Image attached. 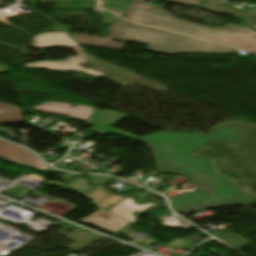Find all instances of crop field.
Here are the masks:
<instances>
[{
    "label": "crop field",
    "instance_id": "obj_9",
    "mask_svg": "<svg viewBox=\"0 0 256 256\" xmlns=\"http://www.w3.org/2000/svg\"><path fill=\"white\" fill-rule=\"evenodd\" d=\"M145 204H148V206L142 205H136L133 201L132 198L128 197L126 200L123 202L117 204L113 208H111L109 211L119 215L120 217L126 219L130 223L135 222V217L132 214V212H142L146 208H150L153 206H157L158 204L152 203V202H147Z\"/></svg>",
    "mask_w": 256,
    "mask_h": 256
},
{
    "label": "crop field",
    "instance_id": "obj_13",
    "mask_svg": "<svg viewBox=\"0 0 256 256\" xmlns=\"http://www.w3.org/2000/svg\"><path fill=\"white\" fill-rule=\"evenodd\" d=\"M68 188L75 190L79 193H82L90 188H92L91 186L87 185V181L86 179H82V178H75L73 179L67 186Z\"/></svg>",
    "mask_w": 256,
    "mask_h": 256
},
{
    "label": "crop field",
    "instance_id": "obj_5",
    "mask_svg": "<svg viewBox=\"0 0 256 256\" xmlns=\"http://www.w3.org/2000/svg\"><path fill=\"white\" fill-rule=\"evenodd\" d=\"M0 156L32 166L42 170L50 169L33 154L16 145L0 141Z\"/></svg>",
    "mask_w": 256,
    "mask_h": 256
},
{
    "label": "crop field",
    "instance_id": "obj_10",
    "mask_svg": "<svg viewBox=\"0 0 256 256\" xmlns=\"http://www.w3.org/2000/svg\"><path fill=\"white\" fill-rule=\"evenodd\" d=\"M81 45L96 46L101 48L119 49L124 44H118L113 42L111 38H100L82 34H72Z\"/></svg>",
    "mask_w": 256,
    "mask_h": 256
},
{
    "label": "crop field",
    "instance_id": "obj_15",
    "mask_svg": "<svg viewBox=\"0 0 256 256\" xmlns=\"http://www.w3.org/2000/svg\"><path fill=\"white\" fill-rule=\"evenodd\" d=\"M91 179L97 180V182L91 181V182H93V183H105V182H107V181L110 180V178H108V177H102V176H95V177H91V176H90V180H91Z\"/></svg>",
    "mask_w": 256,
    "mask_h": 256
},
{
    "label": "crop field",
    "instance_id": "obj_11",
    "mask_svg": "<svg viewBox=\"0 0 256 256\" xmlns=\"http://www.w3.org/2000/svg\"><path fill=\"white\" fill-rule=\"evenodd\" d=\"M21 121L22 117L19 108L0 102V123Z\"/></svg>",
    "mask_w": 256,
    "mask_h": 256
},
{
    "label": "crop field",
    "instance_id": "obj_19",
    "mask_svg": "<svg viewBox=\"0 0 256 256\" xmlns=\"http://www.w3.org/2000/svg\"><path fill=\"white\" fill-rule=\"evenodd\" d=\"M253 30H256V25H255V27H254V29Z\"/></svg>",
    "mask_w": 256,
    "mask_h": 256
},
{
    "label": "crop field",
    "instance_id": "obj_17",
    "mask_svg": "<svg viewBox=\"0 0 256 256\" xmlns=\"http://www.w3.org/2000/svg\"><path fill=\"white\" fill-rule=\"evenodd\" d=\"M55 1H61V0H42V3L55 2Z\"/></svg>",
    "mask_w": 256,
    "mask_h": 256
},
{
    "label": "crop field",
    "instance_id": "obj_18",
    "mask_svg": "<svg viewBox=\"0 0 256 256\" xmlns=\"http://www.w3.org/2000/svg\"><path fill=\"white\" fill-rule=\"evenodd\" d=\"M6 70H7V68L5 66L0 65V72L6 71Z\"/></svg>",
    "mask_w": 256,
    "mask_h": 256
},
{
    "label": "crop field",
    "instance_id": "obj_7",
    "mask_svg": "<svg viewBox=\"0 0 256 256\" xmlns=\"http://www.w3.org/2000/svg\"><path fill=\"white\" fill-rule=\"evenodd\" d=\"M104 187L105 185L98 186L83 193L82 195L91 199L94 206L105 208L107 210L127 198L125 196L115 195L112 192H108Z\"/></svg>",
    "mask_w": 256,
    "mask_h": 256
},
{
    "label": "crop field",
    "instance_id": "obj_4",
    "mask_svg": "<svg viewBox=\"0 0 256 256\" xmlns=\"http://www.w3.org/2000/svg\"><path fill=\"white\" fill-rule=\"evenodd\" d=\"M32 41L35 43L32 44V47L35 48H49V47H67L74 48L77 55L76 57L69 58L66 61L62 62H51V61H38L33 63L25 64L24 66L29 68H41L49 69L55 71H81L88 75H91L95 78L105 75L101 72H98L94 69H84L79 65L88 64L84 51H82L75 41L69 37L66 33H46L40 34L33 37Z\"/></svg>",
    "mask_w": 256,
    "mask_h": 256
},
{
    "label": "crop field",
    "instance_id": "obj_3",
    "mask_svg": "<svg viewBox=\"0 0 256 256\" xmlns=\"http://www.w3.org/2000/svg\"><path fill=\"white\" fill-rule=\"evenodd\" d=\"M108 31L112 32L108 37L124 43L146 44L150 50L164 54H233L238 51L236 48L134 24L124 19L113 24Z\"/></svg>",
    "mask_w": 256,
    "mask_h": 256
},
{
    "label": "crop field",
    "instance_id": "obj_8",
    "mask_svg": "<svg viewBox=\"0 0 256 256\" xmlns=\"http://www.w3.org/2000/svg\"><path fill=\"white\" fill-rule=\"evenodd\" d=\"M43 107H48V108H56V109H65V110H74V111H82V112H87L86 114L82 113H75V112H68V111H61V110H54V109H47ZM34 110L41 111V112H46V113H56L59 115H65V116H72L76 117L85 121H88L90 115L93 112V108L88 107V106H83L79 105L77 107H72V105L69 104H62V103H53V102H47L39 107L35 108Z\"/></svg>",
    "mask_w": 256,
    "mask_h": 256
},
{
    "label": "crop field",
    "instance_id": "obj_2",
    "mask_svg": "<svg viewBox=\"0 0 256 256\" xmlns=\"http://www.w3.org/2000/svg\"><path fill=\"white\" fill-rule=\"evenodd\" d=\"M147 0H131L125 19L177 33L199 37L256 54V32L237 25L211 28L181 20L157 5L144 4Z\"/></svg>",
    "mask_w": 256,
    "mask_h": 256
},
{
    "label": "crop field",
    "instance_id": "obj_16",
    "mask_svg": "<svg viewBox=\"0 0 256 256\" xmlns=\"http://www.w3.org/2000/svg\"><path fill=\"white\" fill-rule=\"evenodd\" d=\"M73 174L66 173V175L63 177L65 180H68Z\"/></svg>",
    "mask_w": 256,
    "mask_h": 256
},
{
    "label": "crop field",
    "instance_id": "obj_14",
    "mask_svg": "<svg viewBox=\"0 0 256 256\" xmlns=\"http://www.w3.org/2000/svg\"><path fill=\"white\" fill-rule=\"evenodd\" d=\"M174 3H180V4H186L190 6H197L201 2L195 1V0H166Z\"/></svg>",
    "mask_w": 256,
    "mask_h": 256
},
{
    "label": "crop field",
    "instance_id": "obj_1",
    "mask_svg": "<svg viewBox=\"0 0 256 256\" xmlns=\"http://www.w3.org/2000/svg\"><path fill=\"white\" fill-rule=\"evenodd\" d=\"M254 125L234 121L219 123L216 135L155 133L140 138L154 151L159 172L176 173L189 178L199 191L171 197L172 208L178 212L201 211L222 205H247L256 200L237 188V182L219 175L212 162L194 158L191 152L213 140L234 142ZM139 139V140H140Z\"/></svg>",
    "mask_w": 256,
    "mask_h": 256
},
{
    "label": "crop field",
    "instance_id": "obj_12",
    "mask_svg": "<svg viewBox=\"0 0 256 256\" xmlns=\"http://www.w3.org/2000/svg\"><path fill=\"white\" fill-rule=\"evenodd\" d=\"M217 238L225 241L230 246H232L234 249L238 250L250 243V241L239 237L235 234H219L216 236Z\"/></svg>",
    "mask_w": 256,
    "mask_h": 256
},
{
    "label": "crop field",
    "instance_id": "obj_6",
    "mask_svg": "<svg viewBox=\"0 0 256 256\" xmlns=\"http://www.w3.org/2000/svg\"><path fill=\"white\" fill-rule=\"evenodd\" d=\"M80 222H83L85 224H97L98 227L112 233L130 224L126 220L104 209L93 213L92 215L88 216Z\"/></svg>",
    "mask_w": 256,
    "mask_h": 256
}]
</instances>
